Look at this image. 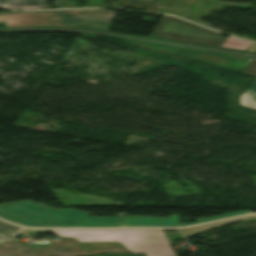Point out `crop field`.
Wrapping results in <instances>:
<instances>
[{
    "label": "crop field",
    "mask_w": 256,
    "mask_h": 256,
    "mask_svg": "<svg viewBox=\"0 0 256 256\" xmlns=\"http://www.w3.org/2000/svg\"><path fill=\"white\" fill-rule=\"evenodd\" d=\"M48 206V205H47ZM31 200L0 205V218L24 227H121L123 217H90L73 208L54 210Z\"/></svg>",
    "instance_id": "8a807250"
},
{
    "label": "crop field",
    "mask_w": 256,
    "mask_h": 256,
    "mask_svg": "<svg viewBox=\"0 0 256 256\" xmlns=\"http://www.w3.org/2000/svg\"><path fill=\"white\" fill-rule=\"evenodd\" d=\"M115 12L106 10H64L0 14L6 27L59 26L106 31Z\"/></svg>",
    "instance_id": "ac0d7876"
},
{
    "label": "crop field",
    "mask_w": 256,
    "mask_h": 256,
    "mask_svg": "<svg viewBox=\"0 0 256 256\" xmlns=\"http://www.w3.org/2000/svg\"><path fill=\"white\" fill-rule=\"evenodd\" d=\"M151 37L219 47L225 37L171 16H163Z\"/></svg>",
    "instance_id": "34b2d1b8"
},
{
    "label": "crop field",
    "mask_w": 256,
    "mask_h": 256,
    "mask_svg": "<svg viewBox=\"0 0 256 256\" xmlns=\"http://www.w3.org/2000/svg\"><path fill=\"white\" fill-rule=\"evenodd\" d=\"M120 42L136 45L139 47L155 50L158 52L206 63L219 68L239 73L243 67L252 59L242 56L225 55L211 52L196 51L190 49L176 48L170 46L156 45L143 42L121 40Z\"/></svg>",
    "instance_id": "412701ff"
},
{
    "label": "crop field",
    "mask_w": 256,
    "mask_h": 256,
    "mask_svg": "<svg viewBox=\"0 0 256 256\" xmlns=\"http://www.w3.org/2000/svg\"><path fill=\"white\" fill-rule=\"evenodd\" d=\"M123 227H181L179 215L169 219L154 217H125Z\"/></svg>",
    "instance_id": "f4fd0767"
},
{
    "label": "crop field",
    "mask_w": 256,
    "mask_h": 256,
    "mask_svg": "<svg viewBox=\"0 0 256 256\" xmlns=\"http://www.w3.org/2000/svg\"><path fill=\"white\" fill-rule=\"evenodd\" d=\"M0 7L11 9H48L45 0H0Z\"/></svg>",
    "instance_id": "dd49c442"
},
{
    "label": "crop field",
    "mask_w": 256,
    "mask_h": 256,
    "mask_svg": "<svg viewBox=\"0 0 256 256\" xmlns=\"http://www.w3.org/2000/svg\"><path fill=\"white\" fill-rule=\"evenodd\" d=\"M251 219H256V215L253 216H247V217H241V218H236V219H230V220H225L221 222H216V223H211L207 225H202V226H197L193 228H188V229H183L184 233L187 235V237H191L193 235L220 227L232 223H237L245 220H251Z\"/></svg>",
    "instance_id": "e52e79f7"
},
{
    "label": "crop field",
    "mask_w": 256,
    "mask_h": 256,
    "mask_svg": "<svg viewBox=\"0 0 256 256\" xmlns=\"http://www.w3.org/2000/svg\"><path fill=\"white\" fill-rule=\"evenodd\" d=\"M240 105L256 109V79L250 84V88L241 96Z\"/></svg>",
    "instance_id": "d8731c3e"
},
{
    "label": "crop field",
    "mask_w": 256,
    "mask_h": 256,
    "mask_svg": "<svg viewBox=\"0 0 256 256\" xmlns=\"http://www.w3.org/2000/svg\"><path fill=\"white\" fill-rule=\"evenodd\" d=\"M21 229L0 221V241L14 238Z\"/></svg>",
    "instance_id": "5a996713"
},
{
    "label": "crop field",
    "mask_w": 256,
    "mask_h": 256,
    "mask_svg": "<svg viewBox=\"0 0 256 256\" xmlns=\"http://www.w3.org/2000/svg\"><path fill=\"white\" fill-rule=\"evenodd\" d=\"M251 44L252 42L244 41L233 37H228L220 47L239 49L245 51Z\"/></svg>",
    "instance_id": "3316defc"
},
{
    "label": "crop field",
    "mask_w": 256,
    "mask_h": 256,
    "mask_svg": "<svg viewBox=\"0 0 256 256\" xmlns=\"http://www.w3.org/2000/svg\"><path fill=\"white\" fill-rule=\"evenodd\" d=\"M247 213H251V211L250 210L237 211V212H233V213H228V214L213 216V217H209V218L199 219V220H196V222H194V223L181 224V226L184 227V226H188V225H193V224L202 223V222L211 221V220L220 219V218L243 215V214H247Z\"/></svg>",
    "instance_id": "28ad6ade"
},
{
    "label": "crop field",
    "mask_w": 256,
    "mask_h": 256,
    "mask_svg": "<svg viewBox=\"0 0 256 256\" xmlns=\"http://www.w3.org/2000/svg\"><path fill=\"white\" fill-rule=\"evenodd\" d=\"M242 74L256 77V58L246 67Z\"/></svg>",
    "instance_id": "d1516ede"
},
{
    "label": "crop field",
    "mask_w": 256,
    "mask_h": 256,
    "mask_svg": "<svg viewBox=\"0 0 256 256\" xmlns=\"http://www.w3.org/2000/svg\"><path fill=\"white\" fill-rule=\"evenodd\" d=\"M46 230H26V229H23L22 233H44ZM50 232L52 230H49Z\"/></svg>",
    "instance_id": "22f410ed"
}]
</instances>
